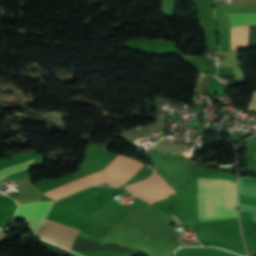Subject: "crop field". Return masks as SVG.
Listing matches in <instances>:
<instances>
[{"mask_svg": "<svg viewBox=\"0 0 256 256\" xmlns=\"http://www.w3.org/2000/svg\"><path fill=\"white\" fill-rule=\"evenodd\" d=\"M230 217H238L237 184L229 180L198 178V221Z\"/></svg>", "mask_w": 256, "mask_h": 256, "instance_id": "8a807250", "label": "crop field"}, {"mask_svg": "<svg viewBox=\"0 0 256 256\" xmlns=\"http://www.w3.org/2000/svg\"><path fill=\"white\" fill-rule=\"evenodd\" d=\"M126 188L149 203L157 202L175 193L174 189L156 173L151 178Z\"/></svg>", "mask_w": 256, "mask_h": 256, "instance_id": "ac0d7876", "label": "crop field"}, {"mask_svg": "<svg viewBox=\"0 0 256 256\" xmlns=\"http://www.w3.org/2000/svg\"><path fill=\"white\" fill-rule=\"evenodd\" d=\"M143 164L120 155L107 169L102 171L103 179L110 185L120 186Z\"/></svg>", "mask_w": 256, "mask_h": 256, "instance_id": "34b2d1b8", "label": "crop field"}, {"mask_svg": "<svg viewBox=\"0 0 256 256\" xmlns=\"http://www.w3.org/2000/svg\"><path fill=\"white\" fill-rule=\"evenodd\" d=\"M52 202L53 201H43L19 204V208L15 214L19 218L23 219L32 233L35 234L41 220Z\"/></svg>", "mask_w": 256, "mask_h": 256, "instance_id": "412701ff", "label": "crop field"}, {"mask_svg": "<svg viewBox=\"0 0 256 256\" xmlns=\"http://www.w3.org/2000/svg\"><path fill=\"white\" fill-rule=\"evenodd\" d=\"M104 183L100 172L94 175H91L89 177L83 178L81 180L75 181L73 183H70L68 185L62 186L60 188L54 189L52 191L46 192L44 193L46 196H48L49 198H53V199H57L60 198L62 196H65L67 194H70L72 192H75L77 190H80L82 188H85L89 185H99Z\"/></svg>", "mask_w": 256, "mask_h": 256, "instance_id": "f4fd0767", "label": "crop field"}, {"mask_svg": "<svg viewBox=\"0 0 256 256\" xmlns=\"http://www.w3.org/2000/svg\"><path fill=\"white\" fill-rule=\"evenodd\" d=\"M232 50L247 49L246 26L231 28Z\"/></svg>", "mask_w": 256, "mask_h": 256, "instance_id": "dd49c442", "label": "crop field"}, {"mask_svg": "<svg viewBox=\"0 0 256 256\" xmlns=\"http://www.w3.org/2000/svg\"><path fill=\"white\" fill-rule=\"evenodd\" d=\"M231 22L234 26H240L245 24L256 25V13L255 14H228Z\"/></svg>", "mask_w": 256, "mask_h": 256, "instance_id": "e52e79f7", "label": "crop field"}, {"mask_svg": "<svg viewBox=\"0 0 256 256\" xmlns=\"http://www.w3.org/2000/svg\"><path fill=\"white\" fill-rule=\"evenodd\" d=\"M33 161V160H32ZM32 161L20 163L13 165L11 167L5 168L0 171V181L5 178L6 176L16 172V171H22L28 168V166L31 164Z\"/></svg>", "mask_w": 256, "mask_h": 256, "instance_id": "d8731c3e", "label": "crop field"}, {"mask_svg": "<svg viewBox=\"0 0 256 256\" xmlns=\"http://www.w3.org/2000/svg\"><path fill=\"white\" fill-rule=\"evenodd\" d=\"M248 111L256 112V91L253 92L251 100L248 105Z\"/></svg>", "mask_w": 256, "mask_h": 256, "instance_id": "5a996713", "label": "crop field"}]
</instances>
